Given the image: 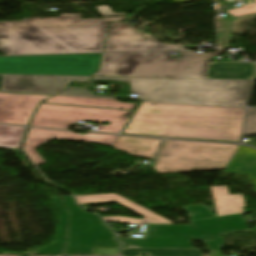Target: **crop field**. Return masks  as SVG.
Returning a JSON list of instances; mask_svg holds the SVG:
<instances>
[{"label":"crop field","instance_id":"obj_20","mask_svg":"<svg viewBox=\"0 0 256 256\" xmlns=\"http://www.w3.org/2000/svg\"><path fill=\"white\" fill-rule=\"evenodd\" d=\"M51 200L61 215L56 242L35 251L36 255H62L63 253L69 215L67 214L59 197L51 198Z\"/></svg>","mask_w":256,"mask_h":256},{"label":"crop field","instance_id":"obj_9","mask_svg":"<svg viewBox=\"0 0 256 256\" xmlns=\"http://www.w3.org/2000/svg\"><path fill=\"white\" fill-rule=\"evenodd\" d=\"M129 111L41 104L30 125L68 129L75 121L112 122L96 131L118 133Z\"/></svg>","mask_w":256,"mask_h":256},{"label":"crop field","instance_id":"obj_26","mask_svg":"<svg viewBox=\"0 0 256 256\" xmlns=\"http://www.w3.org/2000/svg\"><path fill=\"white\" fill-rule=\"evenodd\" d=\"M254 1L256 2V0ZM225 12L233 15L234 17L256 13V3L248 4V5L242 6L241 8L229 10Z\"/></svg>","mask_w":256,"mask_h":256},{"label":"crop field","instance_id":"obj_1","mask_svg":"<svg viewBox=\"0 0 256 256\" xmlns=\"http://www.w3.org/2000/svg\"><path fill=\"white\" fill-rule=\"evenodd\" d=\"M104 19H81L80 13L60 17L0 21V51L6 55L102 52L107 22L124 21L109 6L96 7Z\"/></svg>","mask_w":256,"mask_h":256},{"label":"crop field","instance_id":"obj_17","mask_svg":"<svg viewBox=\"0 0 256 256\" xmlns=\"http://www.w3.org/2000/svg\"><path fill=\"white\" fill-rule=\"evenodd\" d=\"M224 171L247 174L254 183L256 192V150L240 145Z\"/></svg>","mask_w":256,"mask_h":256},{"label":"crop field","instance_id":"obj_15","mask_svg":"<svg viewBox=\"0 0 256 256\" xmlns=\"http://www.w3.org/2000/svg\"><path fill=\"white\" fill-rule=\"evenodd\" d=\"M255 67V63L210 62L206 78L252 80Z\"/></svg>","mask_w":256,"mask_h":256},{"label":"crop field","instance_id":"obj_25","mask_svg":"<svg viewBox=\"0 0 256 256\" xmlns=\"http://www.w3.org/2000/svg\"><path fill=\"white\" fill-rule=\"evenodd\" d=\"M245 135H256V109H248Z\"/></svg>","mask_w":256,"mask_h":256},{"label":"crop field","instance_id":"obj_30","mask_svg":"<svg viewBox=\"0 0 256 256\" xmlns=\"http://www.w3.org/2000/svg\"><path fill=\"white\" fill-rule=\"evenodd\" d=\"M0 256H24V255H0Z\"/></svg>","mask_w":256,"mask_h":256},{"label":"crop field","instance_id":"obj_3","mask_svg":"<svg viewBox=\"0 0 256 256\" xmlns=\"http://www.w3.org/2000/svg\"><path fill=\"white\" fill-rule=\"evenodd\" d=\"M92 80L130 81L139 100L244 107L252 81L206 79H145L93 77Z\"/></svg>","mask_w":256,"mask_h":256},{"label":"crop field","instance_id":"obj_11","mask_svg":"<svg viewBox=\"0 0 256 256\" xmlns=\"http://www.w3.org/2000/svg\"><path fill=\"white\" fill-rule=\"evenodd\" d=\"M90 77L4 75L2 91L55 95L70 81H87Z\"/></svg>","mask_w":256,"mask_h":256},{"label":"crop field","instance_id":"obj_23","mask_svg":"<svg viewBox=\"0 0 256 256\" xmlns=\"http://www.w3.org/2000/svg\"><path fill=\"white\" fill-rule=\"evenodd\" d=\"M184 209L191 220L214 216L212 211L205 208L204 205L184 207Z\"/></svg>","mask_w":256,"mask_h":256},{"label":"crop field","instance_id":"obj_10","mask_svg":"<svg viewBox=\"0 0 256 256\" xmlns=\"http://www.w3.org/2000/svg\"><path fill=\"white\" fill-rule=\"evenodd\" d=\"M182 49L181 45H163L126 23H110L104 52Z\"/></svg>","mask_w":256,"mask_h":256},{"label":"crop field","instance_id":"obj_28","mask_svg":"<svg viewBox=\"0 0 256 256\" xmlns=\"http://www.w3.org/2000/svg\"><path fill=\"white\" fill-rule=\"evenodd\" d=\"M174 2H182V1H199V0H173Z\"/></svg>","mask_w":256,"mask_h":256},{"label":"crop field","instance_id":"obj_8","mask_svg":"<svg viewBox=\"0 0 256 256\" xmlns=\"http://www.w3.org/2000/svg\"><path fill=\"white\" fill-rule=\"evenodd\" d=\"M62 199L71 213L64 255H93L94 247L118 248L113 233L99 217L79 209L72 196Z\"/></svg>","mask_w":256,"mask_h":256},{"label":"crop field","instance_id":"obj_14","mask_svg":"<svg viewBox=\"0 0 256 256\" xmlns=\"http://www.w3.org/2000/svg\"><path fill=\"white\" fill-rule=\"evenodd\" d=\"M76 198L80 204L93 203V202L115 201V202L121 204L122 206L146 217L142 220L127 218V217H119V216L103 217V219L106 222L119 221V222L128 223V224L172 223L171 221L164 219V218L132 203L131 201H129L123 197H120L118 195H115V194L82 195V196H76Z\"/></svg>","mask_w":256,"mask_h":256},{"label":"crop field","instance_id":"obj_32","mask_svg":"<svg viewBox=\"0 0 256 256\" xmlns=\"http://www.w3.org/2000/svg\"><path fill=\"white\" fill-rule=\"evenodd\" d=\"M255 80H256V78H255Z\"/></svg>","mask_w":256,"mask_h":256},{"label":"crop field","instance_id":"obj_18","mask_svg":"<svg viewBox=\"0 0 256 256\" xmlns=\"http://www.w3.org/2000/svg\"><path fill=\"white\" fill-rule=\"evenodd\" d=\"M216 207L217 216L243 213L244 198L242 195H230L227 186L210 187Z\"/></svg>","mask_w":256,"mask_h":256},{"label":"crop field","instance_id":"obj_27","mask_svg":"<svg viewBox=\"0 0 256 256\" xmlns=\"http://www.w3.org/2000/svg\"><path fill=\"white\" fill-rule=\"evenodd\" d=\"M119 249L94 248L95 255H117Z\"/></svg>","mask_w":256,"mask_h":256},{"label":"crop field","instance_id":"obj_29","mask_svg":"<svg viewBox=\"0 0 256 256\" xmlns=\"http://www.w3.org/2000/svg\"><path fill=\"white\" fill-rule=\"evenodd\" d=\"M2 79H3V75H0V91H1V87H2Z\"/></svg>","mask_w":256,"mask_h":256},{"label":"crop field","instance_id":"obj_7","mask_svg":"<svg viewBox=\"0 0 256 256\" xmlns=\"http://www.w3.org/2000/svg\"><path fill=\"white\" fill-rule=\"evenodd\" d=\"M101 54L0 57V74L91 76Z\"/></svg>","mask_w":256,"mask_h":256},{"label":"crop field","instance_id":"obj_12","mask_svg":"<svg viewBox=\"0 0 256 256\" xmlns=\"http://www.w3.org/2000/svg\"><path fill=\"white\" fill-rule=\"evenodd\" d=\"M53 138L101 143L113 146L117 136L86 133L84 135L65 131L30 128L22 149L35 164L45 163L33 149Z\"/></svg>","mask_w":256,"mask_h":256},{"label":"crop field","instance_id":"obj_6","mask_svg":"<svg viewBox=\"0 0 256 256\" xmlns=\"http://www.w3.org/2000/svg\"><path fill=\"white\" fill-rule=\"evenodd\" d=\"M237 148L236 145L166 140L152 169L157 173L225 169Z\"/></svg>","mask_w":256,"mask_h":256},{"label":"crop field","instance_id":"obj_13","mask_svg":"<svg viewBox=\"0 0 256 256\" xmlns=\"http://www.w3.org/2000/svg\"><path fill=\"white\" fill-rule=\"evenodd\" d=\"M48 95L0 93V122L28 125L39 103Z\"/></svg>","mask_w":256,"mask_h":256},{"label":"crop field","instance_id":"obj_4","mask_svg":"<svg viewBox=\"0 0 256 256\" xmlns=\"http://www.w3.org/2000/svg\"><path fill=\"white\" fill-rule=\"evenodd\" d=\"M173 52L103 54L96 75L205 78L210 57L221 51L208 54L182 51L180 59H172L169 53Z\"/></svg>","mask_w":256,"mask_h":256},{"label":"crop field","instance_id":"obj_2","mask_svg":"<svg viewBox=\"0 0 256 256\" xmlns=\"http://www.w3.org/2000/svg\"><path fill=\"white\" fill-rule=\"evenodd\" d=\"M141 102L123 133L240 142L244 108Z\"/></svg>","mask_w":256,"mask_h":256},{"label":"crop field","instance_id":"obj_16","mask_svg":"<svg viewBox=\"0 0 256 256\" xmlns=\"http://www.w3.org/2000/svg\"><path fill=\"white\" fill-rule=\"evenodd\" d=\"M162 140L118 136L113 148L153 159Z\"/></svg>","mask_w":256,"mask_h":256},{"label":"crop field","instance_id":"obj_19","mask_svg":"<svg viewBox=\"0 0 256 256\" xmlns=\"http://www.w3.org/2000/svg\"><path fill=\"white\" fill-rule=\"evenodd\" d=\"M44 102L70 104V105H81V106L104 107V108H115V109H127V110H133V108L135 106V104H131V103H120L118 100L64 97V96H55V97H52Z\"/></svg>","mask_w":256,"mask_h":256},{"label":"crop field","instance_id":"obj_31","mask_svg":"<svg viewBox=\"0 0 256 256\" xmlns=\"http://www.w3.org/2000/svg\"><path fill=\"white\" fill-rule=\"evenodd\" d=\"M250 144L256 146V144H253V143H250Z\"/></svg>","mask_w":256,"mask_h":256},{"label":"crop field","instance_id":"obj_21","mask_svg":"<svg viewBox=\"0 0 256 256\" xmlns=\"http://www.w3.org/2000/svg\"><path fill=\"white\" fill-rule=\"evenodd\" d=\"M201 256L199 250H170V249H122V256Z\"/></svg>","mask_w":256,"mask_h":256},{"label":"crop field","instance_id":"obj_22","mask_svg":"<svg viewBox=\"0 0 256 256\" xmlns=\"http://www.w3.org/2000/svg\"><path fill=\"white\" fill-rule=\"evenodd\" d=\"M23 130L22 127L0 125V147L18 149Z\"/></svg>","mask_w":256,"mask_h":256},{"label":"crop field","instance_id":"obj_24","mask_svg":"<svg viewBox=\"0 0 256 256\" xmlns=\"http://www.w3.org/2000/svg\"><path fill=\"white\" fill-rule=\"evenodd\" d=\"M58 95L79 96V97H93V98H108V99H116L117 98V97H112V96L91 95V92H89L87 89L72 88V87H68L67 90L63 91L62 93H60Z\"/></svg>","mask_w":256,"mask_h":256},{"label":"crop field","instance_id":"obj_5","mask_svg":"<svg viewBox=\"0 0 256 256\" xmlns=\"http://www.w3.org/2000/svg\"><path fill=\"white\" fill-rule=\"evenodd\" d=\"M192 225H148L145 238H118L122 248L192 249L191 240H205L209 249L225 245L219 235L248 230L241 214L192 221ZM208 236L215 238L211 241Z\"/></svg>","mask_w":256,"mask_h":256}]
</instances>
